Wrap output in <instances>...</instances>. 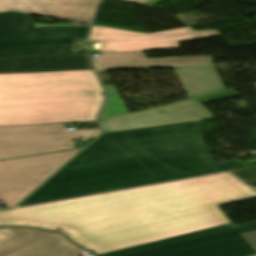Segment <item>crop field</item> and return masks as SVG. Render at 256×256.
<instances>
[{"mask_svg": "<svg viewBox=\"0 0 256 256\" xmlns=\"http://www.w3.org/2000/svg\"><path fill=\"white\" fill-rule=\"evenodd\" d=\"M232 227H234V225L232 223H230V224H226L223 226H219V227H215V228H211V229H207V230H203V231H198V232H194V233H190V234H185V235H181V236H177V237H173V238H169V239H165V240H161V241H157V242H153V243H148V244H144V245H140V246L124 249V250L103 253L101 255L102 256H116V255H120V254H124V253H128V252H132V251H136V250H140V249H144V248H148V247H152V246H156V245H160V244H164V243H168V242H173V241H177V240H181V239H185V238H189V237H193V236H197V235H201V234H205V233H209V232H213V231L232 228Z\"/></svg>", "mask_w": 256, "mask_h": 256, "instance_id": "crop-field-16", "label": "crop field"}, {"mask_svg": "<svg viewBox=\"0 0 256 256\" xmlns=\"http://www.w3.org/2000/svg\"><path fill=\"white\" fill-rule=\"evenodd\" d=\"M101 93L92 70L0 74V126L94 121Z\"/></svg>", "mask_w": 256, "mask_h": 256, "instance_id": "crop-field-3", "label": "crop field"}, {"mask_svg": "<svg viewBox=\"0 0 256 256\" xmlns=\"http://www.w3.org/2000/svg\"><path fill=\"white\" fill-rule=\"evenodd\" d=\"M256 85V84H255Z\"/></svg>", "mask_w": 256, "mask_h": 256, "instance_id": "crop-field-22", "label": "crop field"}, {"mask_svg": "<svg viewBox=\"0 0 256 256\" xmlns=\"http://www.w3.org/2000/svg\"><path fill=\"white\" fill-rule=\"evenodd\" d=\"M242 235L256 251V231L249 232V233H243Z\"/></svg>", "mask_w": 256, "mask_h": 256, "instance_id": "crop-field-18", "label": "crop field"}, {"mask_svg": "<svg viewBox=\"0 0 256 256\" xmlns=\"http://www.w3.org/2000/svg\"><path fill=\"white\" fill-rule=\"evenodd\" d=\"M0 224H4V225H31V224H27V223H23V222H17V221H2L0 222ZM34 226V225H31ZM40 227V226H37ZM44 228H48V227H44ZM53 229V228H50ZM54 230H62V231H67L65 229H54Z\"/></svg>", "mask_w": 256, "mask_h": 256, "instance_id": "crop-field-20", "label": "crop field"}, {"mask_svg": "<svg viewBox=\"0 0 256 256\" xmlns=\"http://www.w3.org/2000/svg\"><path fill=\"white\" fill-rule=\"evenodd\" d=\"M92 69L86 54L0 58V73Z\"/></svg>", "mask_w": 256, "mask_h": 256, "instance_id": "crop-field-12", "label": "crop field"}, {"mask_svg": "<svg viewBox=\"0 0 256 256\" xmlns=\"http://www.w3.org/2000/svg\"><path fill=\"white\" fill-rule=\"evenodd\" d=\"M126 1H131V2H135V3H139V4H148V5L154 6L164 0H126Z\"/></svg>", "mask_w": 256, "mask_h": 256, "instance_id": "crop-field-19", "label": "crop field"}, {"mask_svg": "<svg viewBox=\"0 0 256 256\" xmlns=\"http://www.w3.org/2000/svg\"><path fill=\"white\" fill-rule=\"evenodd\" d=\"M85 253L63 235L28 228H0V256H76Z\"/></svg>", "mask_w": 256, "mask_h": 256, "instance_id": "crop-field-9", "label": "crop field"}, {"mask_svg": "<svg viewBox=\"0 0 256 256\" xmlns=\"http://www.w3.org/2000/svg\"><path fill=\"white\" fill-rule=\"evenodd\" d=\"M96 69L212 64L211 56L146 59L143 51L100 53Z\"/></svg>", "mask_w": 256, "mask_h": 256, "instance_id": "crop-field-13", "label": "crop field"}, {"mask_svg": "<svg viewBox=\"0 0 256 256\" xmlns=\"http://www.w3.org/2000/svg\"><path fill=\"white\" fill-rule=\"evenodd\" d=\"M70 237L73 238V239L76 240V241L80 240V239H78L76 236H74L72 233H71Z\"/></svg>", "mask_w": 256, "mask_h": 256, "instance_id": "crop-field-21", "label": "crop field"}, {"mask_svg": "<svg viewBox=\"0 0 256 256\" xmlns=\"http://www.w3.org/2000/svg\"><path fill=\"white\" fill-rule=\"evenodd\" d=\"M254 196L224 172L4 211L0 221L66 228L103 253L230 223L216 206Z\"/></svg>", "mask_w": 256, "mask_h": 256, "instance_id": "crop-field-1", "label": "crop field"}, {"mask_svg": "<svg viewBox=\"0 0 256 256\" xmlns=\"http://www.w3.org/2000/svg\"><path fill=\"white\" fill-rule=\"evenodd\" d=\"M104 86L107 90L108 96L106 99V104L98 120L127 114L128 111L124 106L121 98L119 97L114 85H104Z\"/></svg>", "mask_w": 256, "mask_h": 256, "instance_id": "crop-field-15", "label": "crop field"}, {"mask_svg": "<svg viewBox=\"0 0 256 256\" xmlns=\"http://www.w3.org/2000/svg\"><path fill=\"white\" fill-rule=\"evenodd\" d=\"M97 0H0V12L14 11L90 24Z\"/></svg>", "mask_w": 256, "mask_h": 256, "instance_id": "crop-field-11", "label": "crop field"}, {"mask_svg": "<svg viewBox=\"0 0 256 256\" xmlns=\"http://www.w3.org/2000/svg\"><path fill=\"white\" fill-rule=\"evenodd\" d=\"M238 94L234 91H227V92H223V93H218V94H214V95H210V96H205V97H201V98H197L196 100L199 101L201 104L204 103H208V102H212V101H216V100H220V99H225V98H229V97H233V96H237Z\"/></svg>", "mask_w": 256, "mask_h": 256, "instance_id": "crop-field-17", "label": "crop field"}, {"mask_svg": "<svg viewBox=\"0 0 256 256\" xmlns=\"http://www.w3.org/2000/svg\"><path fill=\"white\" fill-rule=\"evenodd\" d=\"M174 71L189 99L225 90L215 68H175Z\"/></svg>", "mask_w": 256, "mask_h": 256, "instance_id": "crop-field-14", "label": "crop field"}, {"mask_svg": "<svg viewBox=\"0 0 256 256\" xmlns=\"http://www.w3.org/2000/svg\"><path fill=\"white\" fill-rule=\"evenodd\" d=\"M89 26L35 27L28 15L0 13V57L68 54Z\"/></svg>", "mask_w": 256, "mask_h": 256, "instance_id": "crop-field-4", "label": "crop field"}, {"mask_svg": "<svg viewBox=\"0 0 256 256\" xmlns=\"http://www.w3.org/2000/svg\"><path fill=\"white\" fill-rule=\"evenodd\" d=\"M80 150L0 161V200L14 207Z\"/></svg>", "mask_w": 256, "mask_h": 256, "instance_id": "crop-field-6", "label": "crop field"}, {"mask_svg": "<svg viewBox=\"0 0 256 256\" xmlns=\"http://www.w3.org/2000/svg\"><path fill=\"white\" fill-rule=\"evenodd\" d=\"M195 99L100 121L104 132L170 125L213 119Z\"/></svg>", "mask_w": 256, "mask_h": 256, "instance_id": "crop-field-10", "label": "crop field"}, {"mask_svg": "<svg viewBox=\"0 0 256 256\" xmlns=\"http://www.w3.org/2000/svg\"><path fill=\"white\" fill-rule=\"evenodd\" d=\"M254 230L256 222L120 256H247L256 252L240 233Z\"/></svg>", "mask_w": 256, "mask_h": 256, "instance_id": "crop-field-7", "label": "crop field"}, {"mask_svg": "<svg viewBox=\"0 0 256 256\" xmlns=\"http://www.w3.org/2000/svg\"><path fill=\"white\" fill-rule=\"evenodd\" d=\"M99 133L67 131L63 124L0 127V159L74 148L73 140L94 139Z\"/></svg>", "mask_w": 256, "mask_h": 256, "instance_id": "crop-field-5", "label": "crop field"}, {"mask_svg": "<svg viewBox=\"0 0 256 256\" xmlns=\"http://www.w3.org/2000/svg\"><path fill=\"white\" fill-rule=\"evenodd\" d=\"M244 167L210 157L201 121L109 132L19 206Z\"/></svg>", "mask_w": 256, "mask_h": 256, "instance_id": "crop-field-2", "label": "crop field"}, {"mask_svg": "<svg viewBox=\"0 0 256 256\" xmlns=\"http://www.w3.org/2000/svg\"><path fill=\"white\" fill-rule=\"evenodd\" d=\"M220 35L217 30L193 31L191 27L144 34L92 26L88 41L100 40L99 52L177 48L178 42Z\"/></svg>", "mask_w": 256, "mask_h": 256, "instance_id": "crop-field-8", "label": "crop field"}]
</instances>
